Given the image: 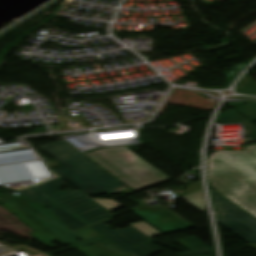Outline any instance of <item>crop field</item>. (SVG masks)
<instances>
[{"mask_svg": "<svg viewBox=\"0 0 256 256\" xmlns=\"http://www.w3.org/2000/svg\"><path fill=\"white\" fill-rule=\"evenodd\" d=\"M39 148L64 164L53 171L85 194H118L120 191L116 187L124 186L63 141Z\"/></svg>", "mask_w": 256, "mask_h": 256, "instance_id": "obj_2", "label": "crop field"}, {"mask_svg": "<svg viewBox=\"0 0 256 256\" xmlns=\"http://www.w3.org/2000/svg\"><path fill=\"white\" fill-rule=\"evenodd\" d=\"M0 201L4 202V203L11 202V201H7V200H4V199H0Z\"/></svg>", "mask_w": 256, "mask_h": 256, "instance_id": "obj_20", "label": "crop field"}, {"mask_svg": "<svg viewBox=\"0 0 256 256\" xmlns=\"http://www.w3.org/2000/svg\"><path fill=\"white\" fill-rule=\"evenodd\" d=\"M249 245H251L252 247H254L256 249V244H249Z\"/></svg>", "mask_w": 256, "mask_h": 256, "instance_id": "obj_21", "label": "crop field"}, {"mask_svg": "<svg viewBox=\"0 0 256 256\" xmlns=\"http://www.w3.org/2000/svg\"><path fill=\"white\" fill-rule=\"evenodd\" d=\"M109 222L108 219L91 227L134 256H149L162 251L149 242L150 237L139 230L131 227L114 231L104 225Z\"/></svg>", "mask_w": 256, "mask_h": 256, "instance_id": "obj_6", "label": "crop field"}, {"mask_svg": "<svg viewBox=\"0 0 256 256\" xmlns=\"http://www.w3.org/2000/svg\"><path fill=\"white\" fill-rule=\"evenodd\" d=\"M131 225H133V227L139 229L140 231H142L143 233L147 234L150 237L162 235V233H160L159 231H157L156 229H154L153 227H151L150 225L143 221Z\"/></svg>", "mask_w": 256, "mask_h": 256, "instance_id": "obj_16", "label": "crop field"}, {"mask_svg": "<svg viewBox=\"0 0 256 256\" xmlns=\"http://www.w3.org/2000/svg\"><path fill=\"white\" fill-rule=\"evenodd\" d=\"M85 155L135 191L170 180L125 147Z\"/></svg>", "mask_w": 256, "mask_h": 256, "instance_id": "obj_3", "label": "crop field"}, {"mask_svg": "<svg viewBox=\"0 0 256 256\" xmlns=\"http://www.w3.org/2000/svg\"><path fill=\"white\" fill-rule=\"evenodd\" d=\"M214 191L211 195L218 224L246 243H256V219Z\"/></svg>", "mask_w": 256, "mask_h": 256, "instance_id": "obj_5", "label": "crop field"}, {"mask_svg": "<svg viewBox=\"0 0 256 256\" xmlns=\"http://www.w3.org/2000/svg\"><path fill=\"white\" fill-rule=\"evenodd\" d=\"M225 118L236 119L239 122V124L243 125L246 136L251 139H256V127L252 125L249 121H247L245 118H243L239 113L231 109V110L220 113L217 119H225Z\"/></svg>", "mask_w": 256, "mask_h": 256, "instance_id": "obj_13", "label": "crop field"}, {"mask_svg": "<svg viewBox=\"0 0 256 256\" xmlns=\"http://www.w3.org/2000/svg\"><path fill=\"white\" fill-rule=\"evenodd\" d=\"M0 198H4V199L12 201V200H15V199L20 198V197L0 193Z\"/></svg>", "mask_w": 256, "mask_h": 256, "instance_id": "obj_18", "label": "crop field"}, {"mask_svg": "<svg viewBox=\"0 0 256 256\" xmlns=\"http://www.w3.org/2000/svg\"><path fill=\"white\" fill-rule=\"evenodd\" d=\"M221 124L237 123L234 119L217 120Z\"/></svg>", "mask_w": 256, "mask_h": 256, "instance_id": "obj_19", "label": "crop field"}, {"mask_svg": "<svg viewBox=\"0 0 256 256\" xmlns=\"http://www.w3.org/2000/svg\"><path fill=\"white\" fill-rule=\"evenodd\" d=\"M234 109L240 112L248 120L250 121L256 120V103L251 104L250 106L245 105V106L237 107Z\"/></svg>", "mask_w": 256, "mask_h": 256, "instance_id": "obj_15", "label": "crop field"}, {"mask_svg": "<svg viewBox=\"0 0 256 256\" xmlns=\"http://www.w3.org/2000/svg\"><path fill=\"white\" fill-rule=\"evenodd\" d=\"M64 185V181L61 178H58L34 188L88 225L112 215L109 213V210L86 197L83 192H59Z\"/></svg>", "mask_w": 256, "mask_h": 256, "instance_id": "obj_4", "label": "crop field"}, {"mask_svg": "<svg viewBox=\"0 0 256 256\" xmlns=\"http://www.w3.org/2000/svg\"><path fill=\"white\" fill-rule=\"evenodd\" d=\"M19 192L33 199L34 201L40 203L42 206L49 207L63 223L67 224L66 226L71 231L86 226V224L83 223L81 220L73 216L71 213H69L68 211H66L65 209H63L62 207H60L59 205H57L56 203H54L53 201H51L50 199L36 191L32 187L21 190ZM42 199L44 201H41ZM71 223H74V225H72Z\"/></svg>", "mask_w": 256, "mask_h": 256, "instance_id": "obj_10", "label": "crop field"}, {"mask_svg": "<svg viewBox=\"0 0 256 256\" xmlns=\"http://www.w3.org/2000/svg\"><path fill=\"white\" fill-rule=\"evenodd\" d=\"M94 200L98 201L99 203H101L103 206H105L107 209L111 211L123 207L122 205H120L119 203L113 200H104V199H94Z\"/></svg>", "mask_w": 256, "mask_h": 256, "instance_id": "obj_17", "label": "crop field"}, {"mask_svg": "<svg viewBox=\"0 0 256 256\" xmlns=\"http://www.w3.org/2000/svg\"><path fill=\"white\" fill-rule=\"evenodd\" d=\"M13 204L50 234L68 244L78 242L76 236L53 214L52 211L42 207L40 204L29 198H20L15 200ZM34 211H38L39 214L34 213Z\"/></svg>", "mask_w": 256, "mask_h": 256, "instance_id": "obj_7", "label": "crop field"}, {"mask_svg": "<svg viewBox=\"0 0 256 256\" xmlns=\"http://www.w3.org/2000/svg\"><path fill=\"white\" fill-rule=\"evenodd\" d=\"M73 233L80 237L82 241L71 245L85 256H120L128 254L107 238V240L104 241L106 245L98 243L90 247L86 246L105 238L90 227L75 231Z\"/></svg>", "mask_w": 256, "mask_h": 256, "instance_id": "obj_9", "label": "crop field"}, {"mask_svg": "<svg viewBox=\"0 0 256 256\" xmlns=\"http://www.w3.org/2000/svg\"><path fill=\"white\" fill-rule=\"evenodd\" d=\"M4 208H6L9 212L12 214H15L19 219H21L23 222H25L29 227H31L35 232L32 233V235L37 238V241L40 243L46 245L47 247L54 249L57 248V246L53 245L51 242L58 241L62 243L63 245H66V243L60 241L58 238L46 233L43 231L40 227H38L34 222H32L29 218H27L25 215H23L20 211H18L15 207H13L10 203L4 204Z\"/></svg>", "mask_w": 256, "mask_h": 256, "instance_id": "obj_11", "label": "crop field"}, {"mask_svg": "<svg viewBox=\"0 0 256 256\" xmlns=\"http://www.w3.org/2000/svg\"><path fill=\"white\" fill-rule=\"evenodd\" d=\"M132 211L164 233L194 227L162 205L156 208L146 205Z\"/></svg>", "mask_w": 256, "mask_h": 256, "instance_id": "obj_8", "label": "crop field"}, {"mask_svg": "<svg viewBox=\"0 0 256 256\" xmlns=\"http://www.w3.org/2000/svg\"><path fill=\"white\" fill-rule=\"evenodd\" d=\"M207 165L212 187L256 218V144L246 152L216 151Z\"/></svg>", "mask_w": 256, "mask_h": 256, "instance_id": "obj_1", "label": "crop field"}, {"mask_svg": "<svg viewBox=\"0 0 256 256\" xmlns=\"http://www.w3.org/2000/svg\"><path fill=\"white\" fill-rule=\"evenodd\" d=\"M238 86H239L240 93L256 96V84L251 82L250 79H248L246 75L238 83Z\"/></svg>", "mask_w": 256, "mask_h": 256, "instance_id": "obj_14", "label": "crop field"}, {"mask_svg": "<svg viewBox=\"0 0 256 256\" xmlns=\"http://www.w3.org/2000/svg\"><path fill=\"white\" fill-rule=\"evenodd\" d=\"M205 256H208V255H205Z\"/></svg>", "mask_w": 256, "mask_h": 256, "instance_id": "obj_23", "label": "crop field"}, {"mask_svg": "<svg viewBox=\"0 0 256 256\" xmlns=\"http://www.w3.org/2000/svg\"><path fill=\"white\" fill-rule=\"evenodd\" d=\"M178 243L190 250L191 252L179 253L176 254L177 256L212 253V249L200 242L194 236L178 241Z\"/></svg>", "mask_w": 256, "mask_h": 256, "instance_id": "obj_12", "label": "crop field"}, {"mask_svg": "<svg viewBox=\"0 0 256 256\" xmlns=\"http://www.w3.org/2000/svg\"><path fill=\"white\" fill-rule=\"evenodd\" d=\"M129 256H132V255H129Z\"/></svg>", "mask_w": 256, "mask_h": 256, "instance_id": "obj_22", "label": "crop field"}]
</instances>
